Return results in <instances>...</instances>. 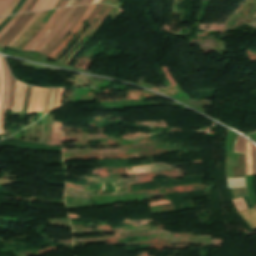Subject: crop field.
Instances as JSON below:
<instances>
[{"label":"crop field","instance_id":"8a807250","mask_svg":"<svg viewBox=\"0 0 256 256\" xmlns=\"http://www.w3.org/2000/svg\"><path fill=\"white\" fill-rule=\"evenodd\" d=\"M87 6H81L77 7L74 12L69 16V18L66 20L58 34L40 51V53L48 56L50 53H52L57 45L62 42L67 35L72 31V29L75 27V25L78 23L82 15L84 14L85 10L87 9Z\"/></svg>","mask_w":256,"mask_h":256},{"label":"crop field","instance_id":"ac0d7876","mask_svg":"<svg viewBox=\"0 0 256 256\" xmlns=\"http://www.w3.org/2000/svg\"><path fill=\"white\" fill-rule=\"evenodd\" d=\"M47 90L45 88L33 87L27 115L32 112L43 111Z\"/></svg>","mask_w":256,"mask_h":256},{"label":"crop field","instance_id":"34b2d1b8","mask_svg":"<svg viewBox=\"0 0 256 256\" xmlns=\"http://www.w3.org/2000/svg\"><path fill=\"white\" fill-rule=\"evenodd\" d=\"M3 71L5 76V86H4V100L1 108V119H0V136L4 134V116L5 110L7 108L8 99H9V90H10V73L6 66V63L2 57Z\"/></svg>","mask_w":256,"mask_h":256},{"label":"crop field","instance_id":"412701ff","mask_svg":"<svg viewBox=\"0 0 256 256\" xmlns=\"http://www.w3.org/2000/svg\"><path fill=\"white\" fill-rule=\"evenodd\" d=\"M95 7L96 5H89L85 14L83 15L79 23L76 25V27L73 29V31L70 33V35L67 37V39L58 46V48L49 56V58L53 59L66 46V44L74 37L75 33L83 25L85 20L90 16Z\"/></svg>","mask_w":256,"mask_h":256},{"label":"crop field","instance_id":"f4fd0767","mask_svg":"<svg viewBox=\"0 0 256 256\" xmlns=\"http://www.w3.org/2000/svg\"><path fill=\"white\" fill-rule=\"evenodd\" d=\"M25 89V85L18 81L15 82V98L12 111H21Z\"/></svg>","mask_w":256,"mask_h":256},{"label":"crop field","instance_id":"dd49c442","mask_svg":"<svg viewBox=\"0 0 256 256\" xmlns=\"http://www.w3.org/2000/svg\"><path fill=\"white\" fill-rule=\"evenodd\" d=\"M76 7H70L65 16L62 18V20L58 23L56 28L52 31V33L38 46V48L35 50L36 52H39L59 31L65 20L68 18V16L73 12V10Z\"/></svg>","mask_w":256,"mask_h":256},{"label":"crop field","instance_id":"e52e79f7","mask_svg":"<svg viewBox=\"0 0 256 256\" xmlns=\"http://www.w3.org/2000/svg\"><path fill=\"white\" fill-rule=\"evenodd\" d=\"M63 9V8H62ZM62 9H56L54 14L50 17L48 23L45 25V27L40 31V33L34 37L29 43L24 47L23 50L28 51L31 46L45 33V31L50 27V25L53 23V21L56 19V17L59 15V13L62 11Z\"/></svg>","mask_w":256,"mask_h":256},{"label":"crop field","instance_id":"d8731c3e","mask_svg":"<svg viewBox=\"0 0 256 256\" xmlns=\"http://www.w3.org/2000/svg\"><path fill=\"white\" fill-rule=\"evenodd\" d=\"M251 229L256 228V210L255 208L238 212Z\"/></svg>","mask_w":256,"mask_h":256},{"label":"crop field","instance_id":"5a996713","mask_svg":"<svg viewBox=\"0 0 256 256\" xmlns=\"http://www.w3.org/2000/svg\"><path fill=\"white\" fill-rule=\"evenodd\" d=\"M57 91H58V89H49L48 90L44 114L55 110Z\"/></svg>","mask_w":256,"mask_h":256},{"label":"crop field","instance_id":"3316defc","mask_svg":"<svg viewBox=\"0 0 256 256\" xmlns=\"http://www.w3.org/2000/svg\"><path fill=\"white\" fill-rule=\"evenodd\" d=\"M59 0H39L32 11H40L53 8Z\"/></svg>","mask_w":256,"mask_h":256},{"label":"crop field","instance_id":"28ad6ade","mask_svg":"<svg viewBox=\"0 0 256 256\" xmlns=\"http://www.w3.org/2000/svg\"><path fill=\"white\" fill-rule=\"evenodd\" d=\"M69 7L64 8V10L61 12V14L58 16V18L55 20V22L51 25V27L48 29V31L45 33V35L38 40L29 51H33L50 33L51 31L55 28L57 23L60 21V19L64 16L65 12L68 10ZM67 13V12H66Z\"/></svg>","mask_w":256,"mask_h":256},{"label":"crop field","instance_id":"d1516ede","mask_svg":"<svg viewBox=\"0 0 256 256\" xmlns=\"http://www.w3.org/2000/svg\"><path fill=\"white\" fill-rule=\"evenodd\" d=\"M251 146H252V143L246 141V148H245L246 175H252V166H251Z\"/></svg>","mask_w":256,"mask_h":256},{"label":"crop field","instance_id":"22f410ed","mask_svg":"<svg viewBox=\"0 0 256 256\" xmlns=\"http://www.w3.org/2000/svg\"><path fill=\"white\" fill-rule=\"evenodd\" d=\"M40 13L41 12L36 13L31 18V20L24 26V28L7 44V46L11 47L22 36V34L31 26V24L36 20Z\"/></svg>","mask_w":256,"mask_h":256},{"label":"crop field","instance_id":"cbeb9de0","mask_svg":"<svg viewBox=\"0 0 256 256\" xmlns=\"http://www.w3.org/2000/svg\"><path fill=\"white\" fill-rule=\"evenodd\" d=\"M33 16V14H28L26 18L19 24V26L9 35V37L0 45L4 46L22 29V27L28 22V20Z\"/></svg>","mask_w":256,"mask_h":256},{"label":"crop field","instance_id":"5142ce71","mask_svg":"<svg viewBox=\"0 0 256 256\" xmlns=\"http://www.w3.org/2000/svg\"><path fill=\"white\" fill-rule=\"evenodd\" d=\"M244 143H245V139L241 138L240 136H237L234 144V152L243 153Z\"/></svg>","mask_w":256,"mask_h":256},{"label":"crop field","instance_id":"d9b57169","mask_svg":"<svg viewBox=\"0 0 256 256\" xmlns=\"http://www.w3.org/2000/svg\"><path fill=\"white\" fill-rule=\"evenodd\" d=\"M27 14H22V16L17 20V22L4 34L0 39V44L7 38V36L18 26V24L25 18Z\"/></svg>","mask_w":256,"mask_h":256},{"label":"crop field","instance_id":"733c2abd","mask_svg":"<svg viewBox=\"0 0 256 256\" xmlns=\"http://www.w3.org/2000/svg\"><path fill=\"white\" fill-rule=\"evenodd\" d=\"M3 86H4V81H3V73H2V65H1V57H0V107L2 103V97H3Z\"/></svg>","mask_w":256,"mask_h":256},{"label":"crop field","instance_id":"4a817a6b","mask_svg":"<svg viewBox=\"0 0 256 256\" xmlns=\"http://www.w3.org/2000/svg\"><path fill=\"white\" fill-rule=\"evenodd\" d=\"M21 16V14L16 15L0 32V38L3 36V34L15 23V21Z\"/></svg>","mask_w":256,"mask_h":256},{"label":"crop field","instance_id":"bc2a9ffb","mask_svg":"<svg viewBox=\"0 0 256 256\" xmlns=\"http://www.w3.org/2000/svg\"><path fill=\"white\" fill-rule=\"evenodd\" d=\"M13 98H14V79L11 77L10 99H9V105H8L7 110L12 108Z\"/></svg>","mask_w":256,"mask_h":256},{"label":"crop field","instance_id":"214f88e0","mask_svg":"<svg viewBox=\"0 0 256 256\" xmlns=\"http://www.w3.org/2000/svg\"><path fill=\"white\" fill-rule=\"evenodd\" d=\"M11 2L12 0H0V16L6 10V8L9 6Z\"/></svg>","mask_w":256,"mask_h":256},{"label":"crop field","instance_id":"92a150f3","mask_svg":"<svg viewBox=\"0 0 256 256\" xmlns=\"http://www.w3.org/2000/svg\"><path fill=\"white\" fill-rule=\"evenodd\" d=\"M253 175H256V147L253 145L252 153Z\"/></svg>","mask_w":256,"mask_h":256},{"label":"crop field","instance_id":"dafd665d","mask_svg":"<svg viewBox=\"0 0 256 256\" xmlns=\"http://www.w3.org/2000/svg\"><path fill=\"white\" fill-rule=\"evenodd\" d=\"M19 0H14L11 5L7 8V10L3 13L2 16H6L9 15V13L12 11V9L15 7V5L17 4Z\"/></svg>","mask_w":256,"mask_h":256},{"label":"crop field","instance_id":"00972430","mask_svg":"<svg viewBox=\"0 0 256 256\" xmlns=\"http://www.w3.org/2000/svg\"><path fill=\"white\" fill-rule=\"evenodd\" d=\"M62 93H63V89H59L56 108H58L59 106H61Z\"/></svg>","mask_w":256,"mask_h":256},{"label":"crop field","instance_id":"a9b5d70f","mask_svg":"<svg viewBox=\"0 0 256 256\" xmlns=\"http://www.w3.org/2000/svg\"><path fill=\"white\" fill-rule=\"evenodd\" d=\"M31 1L32 0H26L18 12L24 11Z\"/></svg>","mask_w":256,"mask_h":256},{"label":"crop field","instance_id":"4177f3b9","mask_svg":"<svg viewBox=\"0 0 256 256\" xmlns=\"http://www.w3.org/2000/svg\"><path fill=\"white\" fill-rule=\"evenodd\" d=\"M37 1H38V0H33V1L31 2V4L29 5V7L26 9V11H31V9L33 8V6L36 4Z\"/></svg>","mask_w":256,"mask_h":256},{"label":"crop field","instance_id":"730fd06b","mask_svg":"<svg viewBox=\"0 0 256 256\" xmlns=\"http://www.w3.org/2000/svg\"><path fill=\"white\" fill-rule=\"evenodd\" d=\"M92 0H81L79 5H84V4H88V3H91Z\"/></svg>","mask_w":256,"mask_h":256},{"label":"crop field","instance_id":"eef30255","mask_svg":"<svg viewBox=\"0 0 256 256\" xmlns=\"http://www.w3.org/2000/svg\"><path fill=\"white\" fill-rule=\"evenodd\" d=\"M68 2V0H63L62 3L59 5V7L61 6H65V4Z\"/></svg>","mask_w":256,"mask_h":256},{"label":"crop field","instance_id":"ae1a2a85","mask_svg":"<svg viewBox=\"0 0 256 256\" xmlns=\"http://www.w3.org/2000/svg\"><path fill=\"white\" fill-rule=\"evenodd\" d=\"M79 1H80V0H75V2L73 3V5H72V6L77 5V4L79 3Z\"/></svg>","mask_w":256,"mask_h":256},{"label":"crop field","instance_id":"d3111659","mask_svg":"<svg viewBox=\"0 0 256 256\" xmlns=\"http://www.w3.org/2000/svg\"><path fill=\"white\" fill-rule=\"evenodd\" d=\"M5 18H0V23L4 20Z\"/></svg>","mask_w":256,"mask_h":256},{"label":"crop field","instance_id":"750c4746","mask_svg":"<svg viewBox=\"0 0 256 256\" xmlns=\"http://www.w3.org/2000/svg\"><path fill=\"white\" fill-rule=\"evenodd\" d=\"M254 207L256 208V205Z\"/></svg>","mask_w":256,"mask_h":256}]
</instances>
